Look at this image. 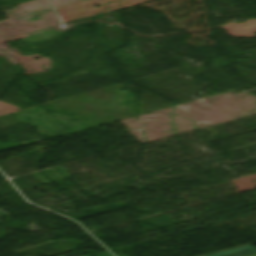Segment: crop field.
Listing matches in <instances>:
<instances>
[{"mask_svg":"<svg viewBox=\"0 0 256 256\" xmlns=\"http://www.w3.org/2000/svg\"><path fill=\"white\" fill-rule=\"evenodd\" d=\"M249 256H256V254H253V255H249Z\"/></svg>","mask_w":256,"mask_h":256,"instance_id":"obj_2","label":"crop field"},{"mask_svg":"<svg viewBox=\"0 0 256 256\" xmlns=\"http://www.w3.org/2000/svg\"><path fill=\"white\" fill-rule=\"evenodd\" d=\"M253 253H256V248L248 245V246L212 254L209 256H245Z\"/></svg>","mask_w":256,"mask_h":256,"instance_id":"obj_1","label":"crop field"}]
</instances>
